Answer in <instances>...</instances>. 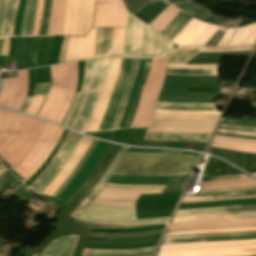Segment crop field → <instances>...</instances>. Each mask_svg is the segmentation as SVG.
Wrapping results in <instances>:
<instances>
[{
    "instance_id": "1",
    "label": "crop field",
    "mask_w": 256,
    "mask_h": 256,
    "mask_svg": "<svg viewBox=\"0 0 256 256\" xmlns=\"http://www.w3.org/2000/svg\"><path fill=\"white\" fill-rule=\"evenodd\" d=\"M44 121L0 109V157L14 168L38 139Z\"/></svg>"
},
{
    "instance_id": "2",
    "label": "crop field",
    "mask_w": 256,
    "mask_h": 256,
    "mask_svg": "<svg viewBox=\"0 0 256 256\" xmlns=\"http://www.w3.org/2000/svg\"><path fill=\"white\" fill-rule=\"evenodd\" d=\"M197 156L127 152L113 175H190Z\"/></svg>"
},
{
    "instance_id": "3",
    "label": "crop field",
    "mask_w": 256,
    "mask_h": 256,
    "mask_svg": "<svg viewBox=\"0 0 256 256\" xmlns=\"http://www.w3.org/2000/svg\"><path fill=\"white\" fill-rule=\"evenodd\" d=\"M108 64L109 59L85 61V76L81 91L76 94L63 126L84 132L96 105Z\"/></svg>"
},
{
    "instance_id": "4",
    "label": "crop field",
    "mask_w": 256,
    "mask_h": 256,
    "mask_svg": "<svg viewBox=\"0 0 256 256\" xmlns=\"http://www.w3.org/2000/svg\"><path fill=\"white\" fill-rule=\"evenodd\" d=\"M78 62L50 67L52 86L38 117L62 123L77 88Z\"/></svg>"
},
{
    "instance_id": "5",
    "label": "crop field",
    "mask_w": 256,
    "mask_h": 256,
    "mask_svg": "<svg viewBox=\"0 0 256 256\" xmlns=\"http://www.w3.org/2000/svg\"><path fill=\"white\" fill-rule=\"evenodd\" d=\"M173 50V44L136 18L127 14L123 56L158 57Z\"/></svg>"
},
{
    "instance_id": "6",
    "label": "crop field",
    "mask_w": 256,
    "mask_h": 256,
    "mask_svg": "<svg viewBox=\"0 0 256 256\" xmlns=\"http://www.w3.org/2000/svg\"><path fill=\"white\" fill-rule=\"evenodd\" d=\"M256 240L248 241H227V242H207L194 244H173L161 246L160 249L172 247H188V246H208L223 244H242L254 243ZM256 255V243L243 245H223L209 247H189V248H172L159 251L158 256H248Z\"/></svg>"
},
{
    "instance_id": "7",
    "label": "crop field",
    "mask_w": 256,
    "mask_h": 256,
    "mask_svg": "<svg viewBox=\"0 0 256 256\" xmlns=\"http://www.w3.org/2000/svg\"><path fill=\"white\" fill-rule=\"evenodd\" d=\"M219 116L167 115L154 113L147 131L212 133Z\"/></svg>"
},
{
    "instance_id": "8",
    "label": "crop field",
    "mask_w": 256,
    "mask_h": 256,
    "mask_svg": "<svg viewBox=\"0 0 256 256\" xmlns=\"http://www.w3.org/2000/svg\"><path fill=\"white\" fill-rule=\"evenodd\" d=\"M170 217L135 220V207H111L91 205L77 217V220L110 225H144L167 223Z\"/></svg>"
},
{
    "instance_id": "9",
    "label": "crop field",
    "mask_w": 256,
    "mask_h": 256,
    "mask_svg": "<svg viewBox=\"0 0 256 256\" xmlns=\"http://www.w3.org/2000/svg\"><path fill=\"white\" fill-rule=\"evenodd\" d=\"M19 0H0V38L8 37L16 16ZM37 0H27L21 36H31Z\"/></svg>"
},
{
    "instance_id": "10",
    "label": "crop field",
    "mask_w": 256,
    "mask_h": 256,
    "mask_svg": "<svg viewBox=\"0 0 256 256\" xmlns=\"http://www.w3.org/2000/svg\"><path fill=\"white\" fill-rule=\"evenodd\" d=\"M121 146L109 144L104 155L99 160L98 164L91 172L90 176L85 180V182L80 186L78 191L63 205L70 207L75 210V208L81 203V201L89 194V192L94 188L97 182L100 180L102 175L105 173L110 163L116 157Z\"/></svg>"
},
{
    "instance_id": "11",
    "label": "crop field",
    "mask_w": 256,
    "mask_h": 256,
    "mask_svg": "<svg viewBox=\"0 0 256 256\" xmlns=\"http://www.w3.org/2000/svg\"><path fill=\"white\" fill-rule=\"evenodd\" d=\"M121 65V58H112L110 59V64L108 72L105 78L104 86L101 91V94L98 98L97 106L91 117V121L86 129V131H97L101 120L104 116L107 103L110 99L113 87L118 77L119 69Z\"/></svg>"
},
{
    "instance_id": "12",
    "label": "crop field",
    "mask_w": 256,
    "mask_h": 256,
    "mask_svg": "<svg viewBox=\"0 0 256 256\" xmlns=\"http://www.w3.org/2000/svg\"><path fill=\"white\" fill-rule=\"evenodd\" d=\"M3 89L0 94V106L19 111L27 93L28 72H17V78L2 80Z\"/></svg>"
},
{
    "instance_id": "13",
    "label": "crop field",
    "mask_w": 256,
    "mask_h": 256,
    "mask_svg": "<svg viewBox=\"0 0 256 256\" xmlns=\"http://www.w3.org/2000/svg\"><path fill=\"white\" fill-rule=\"evenodd\" d=\"M75 136H76V133L70 132V131L68 132L67 137L65 139V142L62 145V147L60 148L59 152L53 158V160L51 161L49 166L46 168V170L40 175V177L37 180H35L29 186L28 190L32 189V190L35 191L39 187V185L48 177V175L53 171V169L55 168V166L57 165V163L59 162V160L61 159V157L63 156V154L65 153V151L67 150V148L69 147L70 143L72 142V140L74 139ZM80 138H81V135L77 134V136L73 140L72 144L70 145V147L68 148V150L66 151V153L64 154V156L62 157V159L60 160L58 165L56 166V168L54 169V171L49 175V177L35 191L36 193H38L40 195V193H42L44 188L56 176L57 172L60 170V168L66 162V160L69 158L70 154L74 151V149H75L78 141L80 140Z\"/></svg>"
},
{
    "instance_id": "14",
    "label": "crop field",
    "mask_w": 256,
    "mask_h": 256,
    "mask_svg": "<svg viewBox=\"0 0 256 256\" xmlns=\"http://www.w3.org/2000/svg\"><path fill=\"white\" fill-rule=\"evenodd\" d=\"M133 58H122V65L119 73V77L115 88L113 90L110 102L107 107V111L101 123L99 131L110 130L112 122L115 118L116 111L121 102L122 93L130 74Z\"/></svg>"
},
{
    "instance_id": "15",
    "label": "crop field",
    "mask_w": 256,
    "mask_h": 256,
    "mask_svg": "<svg viewBox=\"0 0 256 256\" xmlns=\"http://www.w3.org/2000/svg\"><path fill=\"white\" fill-rule=\"evenodd\" d=\"M162 193V190H114L102 188L91 204L135 206L140 194Z\"/></svg>"
},
{
    "instance_id": "16",
    "label": "crop field",
    "mask_w": 256,
    "mask_h": 256,
    "mask_svg": "<svg viewBox=\"0 0 256 256\" xmlns=\"http://www.w3.org/2000/svg\"><path fill=\"white\" fill-rule=\"evenodd\" d=\"M95 41L96 28L84 37H70L64 62L94 58Z\"/></svg>"
},
{
    "instance_id": "17",
    "label": "crop field",
    "mask_w": 256,
    "mask_h": 256,
    "mask_svg": "<svg viewBox=\"0 0 256 256\" xmlns=\"http://www.w3.org/2000/svg\"><path fill=\"white\" fill-rule=\"evenodd\" d=\"M173 4L177 6L179 9H181L184 13L196 19H199L211 24H215V25H219L227 28H236L241 22V19H225V18L213 16L211 15L209 10H207L203 6L191 0H186L183 2H177Z\"/></svg>"
},
{
    "instance_id": "18",
    "label": "crop field",
    "mask_w": 256,
    "mask_h": 256,
    "mask_svg": "<svg viewBox=\"0 0 256 256\" xmlns=\"http://www.w3.org/2000/svg\"><path fill=\"white\" fill-rule=\"evenodd\" d=\"M91 141H92V138L82 136L72 156L69 158L67 163L62 167V169L54 178V180L45 188L42 194L52 196L56 192V190L68 178L70 173L76 167L77 163L83 157Z\"/></svg>"
},
{
    "instance_id": "19",
    "label": "crop field",
    "mask_w": 256,
    "mask_h": 256,
    "mask_svg": "<svg viewBox=\"0 0 256 256\" xmlns=\"http://www.w3.org/2000/svg\"><path fill=\"white\" fill-rule=\"evenodd\" d=\"M166 57L163 56L158 59L153 81L147 93L146 103L141 114L138 127H145L148 125L152 111L154 109L159 88L162 84L163 76L165 73Z\"/></svg>"
},
{
    "instance_id": "20",
    "label": "crop field",
    "mask_w": 256,
    "mask_h": 256,
    "mask_svg": "<svg viewBox=\"0 0 256 256\" xmlns=\"http://www.w3.org/2000/svg\"><path fill=\"white\" fill-rule=\"evenodd\" d=\"M254 217H256V211L214 213V214H198V215H187V216L175 217L172 224L188 223V222H199V221H214V220L254 218Z\"/></svg>"
},
{
    "instance_id": "21",
    "label": "crop field",
    "mask_w": 256,
    "mask_h": 256,
    "mask_svg": "<svg viewBox=\"0 0 256 256\" xmlns=\"http://www.w3.org/2000/svg\"><path fill=\"white\" fill-rule=\"evenodd\" d=\"M78 238L74 235L57 238L40 254L43 256H72Z\"/></svg>"
},
{
    "instance_id": "22",
    "label": "crop field",
    "mask_w": 256,
    "mask_h": 256,
    "mask_svg": "<svg viewBox=\"0 0 256 256\" xmlns=\"http://www.w3.org/2000/svg\"><path fill=\"white\" fill-rule=\"evenodd\" d=\"M245 47H252V46H244ZM181 48H198V47H181ZM212 49V48H208ZM208 49H198L200 52H235V51H247L252 50V48L246 49H229V50H208ZM228 49V48H224ZM197 49H178L170 54H168V64H184L189 61L191 58L196 56L198 53Z\"/></svg>"
},
{
    "instance_id": "23",
    "label": "crop field",
    "mask_w": 256,
    "mask_h": 256,
    "mask_svg": "<svg viewBox=\"0 0 256 256\" xmlns=\"http://www.w3.org/2000/svg\"><path fill=\"white\" fill-rule=\"evenodd\" d=\"M207 25V23L192 18L186 27L172 40V42L177 45H190V43L205 29Z\"/></svg>"
},
{
    "instance_id": "24",
    "label": "crop field",
    "mask_w": 256,
    "mask_h": 256,
    "mask_svg": "<svg viewBox=\"0 0 256 256\" xmlns=\"http://www.w3.org/2000/svg\"><path fill=\"white\" fill-rule=\"evenodd\" d=\"M65 14V0H53L47 35H61Z\"/></svg>"
},
{
    "instance_id": "25",
    "label": "crop field",
    "mask_w": 256,
    "mask_h": 256,
    "mask_svg": "<svg viewBox=\"0 0 256 256\" xmlns=\"http://www.w3.org/2000/svg\"><path fill=\"white\" fill-rule=\"evenodd\" d=\"M126 149H127V147L122 146L119 154L114 159V161L111 163V165L108 168V170L105 173V175L101 178V180L98 182V184L95 186V188L90 192V194L77 207V209L71 213V216L76 218L84 210V208L89 204V202L93 199V197L96 195V193L102 187V185L107 181L108 177L111 175L112 171L114 170L116 165L119 163V161L122 158V156L125 154Z\"/></svg>"
},
{
    "instance_id": "26",
    "label": "crop field",
    "mask_w": 256,
    "mask_h": 256,
    "mask_svg": "<svg viewBox=\"0 0 256 256\" xmlns=\"http://www.w3.org/2000/svg\"><path fill=\"white\" fill-rule=\"evenodd\" d=\"M209 136L210 134H172L147 132L145 140L206 142Z\"/></svg>"
},
{
    "instance_id": "27",
    "label": "crop field",
    "mask_w": 256,
    "mask_h": 256,
    "mask_svg": "<svg viewBox=\"0 0 256 256\" xmlns=\"http://www.w3.org/2000/svg\"><path fill=\"white\" fill-rule=\"evenodd\" d=\"M153 249L154 247L133 250L85 249L83 256H149Z\"/></svg>"
},
{
    "instance_id": "28",
    "label": "crop field",
    "mask_w": 256,
    "mask_h": 256,
    "mask_svg": "<svg viewBox=\"0 0 256 256\" xmlns=\"http://www.w3.org/2000/svg\"><path fill=\"white\" fill-rule=\"evenodd\" d=\"M169 4L168 0H152L133 15L148 24Z\"/></svg>"
},
{
    "instance_id": "29",
    "label": "crop field",
    "mask_w": 256,
    "mask_h": 256,
    "mask_svg": "<svg viewBox=\"0 0 256 256\" xmlns=\"http://www.w3.org/2000/svg\"><path fill=\"white\" fill-rule=\"evenodd\" d=\"M256 41V23L240 27L236 30L228 47L250 45Z\"/></svg>"
},
{
    "instance_id": "30",
    "label": "crop field",
    "mask_w": 256,
    "mask_h": 256,
    "mask_svg": "<svg viewBox=\"0 0 256 256\" xmlns=\"http://www.w3.org/2000/svg\"><path fill=\"white\" fill-rule=\"evenodd\" d=\"M112 28H97L95 58L109 57Z\"/></svg>"
},
{
    "instance_id": "31",
    "label": "crop field",
    "mask_w": 256,
    "mask_h": 256,
    "mask_svg": "<svg viewBox=\"0 0 256 256\" xmlns=\"http://www.w3.org/2000/svg\"><path fill=\"white\" fill-rule=\"evenodd\" d=\"M245 210H256V204L228 206V207H214V208L184 209V210H178L177 214L176 213L175 214L176 216H178V215L197 214V213L230 212V211H245Z\"/></svg>"
},
{
    "instance_id": "32",
    "label": "crop field",
    "mask_w": 256,
    "mask_h": 256,
    "mask_svg": "<svg viewBox=\"0 0 256 256\" xmlns=\"http://www.w3.org/2000/svg\"><path fill=\"white\" fill-rule=\"evenodd\" d=\"M156 109L190 110V111H200V110L216 111L213 104H187V103H166V102H158Z\"/></svg>"
},
{
    "instance_id": "33",
    "label": "crop field",
    "mask_w": 256,
    "mask_h": 256,
    "mask_svg": "<svg viewBox=\"0 0 256 256\" xmlns=\"http://www.w3.org/2000/svg\"><path fill=\"white\" fill-rule=\"evenodd\" d=\"M40 37H26L24 48V69L36 67L35 53Z\"/></svg>"
},
{
    "instance_id": "34",
    "label": "crop field",
    "mask_w": 256,
    "mask_h": 256,
    "mask_svg": "<svg viewBox=\"0 0 256 256\" xmlns=\"http://www.w3.org/2000/svg\"><path fill=\"white\" fill-rule=\"evenodd\" d=\"M179 11V9H177L175 6L171 4L162 14H160L148 26H150L151 28L160 33L171 22V20L177 15Z\"/></svg>"
},
{
    "instance_id": "35",
    "label": "crop field",
    "mask_w": 256,
    "mask_h": 256,
    "mask_svg": "<svg viewBox=\"0 0 256 256\" xmlns=\"http://www.w3.org/2000/svg\"><path fill=\"white\" fill-rule=\"evenodd\" d=\"M251 185H256V181L252 178L225 180V181L201 183L200 190L210 189V188H222V187H233V186H251Z\"/></svg>"
},
{
    "instance_id": "36",
    "label": "crop field",
    "mask_w": 256,
    "mask_h": 256,
    "mask_svg": "<svg viewBox=\"0 0 256 256\" xmlns=\"http://www.w3.org/2000/svg\"><path fill=\"white\" fill-rule=\"evenodd\" d=\"M190 19L191 17L181 11L174 21L161 33V35L171 41L185 27Z\"/></svg>"
},
{
    "instance_id": "37",
    "label": "crop field",
    "mask_w": 256,
    "mask_h": 256,
    "mask_svg": "<svg viewBox=\"0 0 256 256\" xmlns=\"http://www.w3.org/2000/svg\"><path fill=\"white\" fill-rule=\"evenodd\" d=\"M247 195H256V190L255 191H240V192L204 194V195H190V196H184L182 201L217 199V198H227V197H237V196H247Z\"/></svg>"
},
{
    "instance_id": "38",
    "label": "crop field",
    "mask_w": 256,
    "mask_h": 256,
    "mask_svg": "<svg viewBox=\"0 0 256 256\" xmlns=\"http://www.w3.org/2000/svg\"><path fill=\"white\" fill-rule=\"evenodd\" d=\"M138 61L139 59H134V62H133V65H132V70H131V75L128 79V82H127V85L125 87V90H124V93H123V98H122V102L120 104V107H119V110L117 112V115H116V118L113 122V125H112V128L111 130H114L117 128V125H118V122L122 116V113H123V109H124V106H125V103H126V100H127V97H128V93H129V90L132 86V83H133V80H134V76H135V72H136V68L138 66Z\"/></svg>"
},
{
    "instance_id": "39",
    "label": "crop field",
    "mask_w": 256,
    "mask_h": 256,
    "mask_svg": "<svg viewBox=\"0 0 256 256\" xmlns=\"http://www.w3.org/2000/svg\"><path fill=\"white\" fill-rule=\"evenodd\" d=\"M156 61H157V59H152V61H151V66H150L149 75H148V78H147V80H146L144 89H143V91H142V94H141V97H140V101H139V105H138V108H137V111H136V115H135V118H134V120H133V123H132V126H131V127H136V126H137L140 113H141L142 108H143V105H144V103H145L146 92H147L148 87H149V85H150V83H151V81H152L154 69H155V66H156Z\"/></svg>"
},
{
    "instance_id": "40",
    "label": "crop field",
    "mask_w": 256,
    "mask_h": 256,
    "mask_svg": "<svg viewBox=\"0 0 256 256\" xmlns=\"http://www.w3.org/2000/svg\"><path fill=\"white\" fill-rule=\"evenodd\" d=\"M150 61H151V59H146L145 68H144V72L142 74L141 82H140V84H139V86L137 88V91H136V94H135V98H134V101H133V105H132V109H131V112H130V114L128 116L127 123H126L124 128L130 127V124H131L132 119L134 117L135 110H136V107H137V104H138V100H139V97H140V94H141V91H142V87H143V84H144V82H145V80L147 78V75H148Z\"/></svg>"
},
{
    "instance_id": "41",
    "label": "crop field",
    "mask_w": 256,
    "mask_h": 256,
    "mask_svg": "<svg viewBox=\"0 0 256 256\" xmlns=\"http://www.w3.org/2000/svg\"><path fill=\"white\" fill-rule=\"evenodd\" d=\"M123 33L124 28H113L112 47L110 57L122 56L123 54Z\"/></svg>"
},
{
    "instance_id": "42",
    "label": "crop field",
    "mask_w": 256,
    "mask_h": 256,
    "mask_svg": "<svg viewBox=\"0 0 256 256\" xmlns=\"http://www.w3.org/2000/svg\"><path fill=\"white\" fill-rule=\"evenodd\" d=\"M166 74L209 76V75H217V69L167 68Z\"/></svg>"
},
{
    "instance_id": "43",
    "label": "crop field",
    "mask_w": 256,
    "mask_h": 256,
    "mask_svg": "<svg viewBox=\"0 0 256 256\" xmlns=\"http://www.w3.org/2000/svg\"><path fill=\"white\" fill-rule=\"evenodd\" d=\"M255 238L256 236H234V237H216V238L187 239V240H171V241H163L161 245L172 244V243H188V242L245 240V239H255Z\"/></svg>"
},
{
    "instance_id": "44",
    "label": "crop field",
    "mask_w": 256,
    "mask_h": 256,
    "mask_svg": "<svg viewBox=\"0 0 256 256\" xmlns=\"http://www.w3.org/2000/svg\"><path fill=\"white\" fill-rule=\"evenodd\" d=\"M98 140H93L92 144L90 145L89 149L87 150L86 154L84 155V157L81 159V161L78 163L77 167L74 169V171L71 173V175L69 176V178L61 185V187L57 190V192L53 195V197H57L62 191L63 189L68 185V183L72 180V178L76 175V173L78 171H80L81 167L83 166V164L85 163V161L87 160L88 156L90 155V153L93 151L95 145L97 144Z\"/></svg>"
},
{
    "instance_id": "45",
    "label": "crop field",
    "mask_w": 256,
    "mask_h": 256,
    "mask_svg": "<svg viewBox=\"0 0 256 256\" xmlns=\"http://www.w3.org/2000/svg\"><path fill=\"white\" fill-rule=\"evenodd\" d=\"M248 226H256V223L231 224V225H215V226H200V227H189V228H174V229H168L167 232L190 231V230H204V229H219V228H233V227H248Z\"/></svg>"
},
{
    "instance_id": "46",
    "label": "crop field",
    "mask_w": 256,
    "mask_h": 256,
    "mask_svg": "<svg viewBox=\"0 0 256 256\" xmlns=\"http://www.w3.org/2000/svg\"><path fill=\"white\" fill-rule=\"evenodd\" d=\"M246 222H256L255 219H243V220H229V221H214V222H199V223H189V224H177L171 225L173 227H188V226H200V225H215V224H231V223H246Z\"/></svg>"
},
{
    "instance_id": "47",
    "label": "crop field",
    "mask_w": 256,
    "mask_h": 256,
    "mask_svg": "<svg viewBox=\"0 0 256 256\" xmlns=\"http://www.w3.org/2000/svg\"><path fill=\"white\" fill-rule=\"evenodd\" d=\"M52 0H44V10L39 35H46Z\"/></svg>"
},
{
    "instance_id": "48",
    "label": "crop field",
    "mask_w": 256,
    "mask_h": 256,
    "mask_svg": "<svg viewBox=\"0 0 256 256\" xmlns=\"http://www.w3.org/2000/svg\"><path fill=\"white\" fill-rule=\"evenodd\" d=\"M79 5H80V0H74L73 10H72V18H71V28H70V35H72V36H76V34H77Z\"/></svg>"
},
{
    "instance_id": "49",
    "label": "crop field",
    "mask_w": 256,
    "mask_h": 256,
    "mask_svg": "<svg viewBox=\"0 0 256 256\" xmlns=\"http://www.w3.org/2000/svg\"><path fill=\"white\" fill-rule=\"evenodd\" d=\"M250 234H256V231H252V232H237V233H224V234H209V235L177 236V237H167V238H164V240H170V239H182V238H196V237H214V236L250 235Z\"/></svg>"
},
{
    "instance_id": "50",
    "label": "crop field",
    "mask_w": 256,
    "mask_h": 256,
    "mask_svg": "<svg viewBox=\"0 0 256 256\" xmlns=\"http://www.w3.org/2000/svg\"><path fill=\"white\" fill-rule=\"evenodd\" d=\"M246 230H256V228H244V229H226V230H209V231H191V232H178L166 234V236L173 235H186V234H204V233H221V232H234V231H246Z\"/></svg>"
},
{
    "instance_id": "51",
    "label": "crop field",
    "mask_w": 256,
    "mask_h": 256,
    "mask_svg": "<svg viewBox=\"0 0 256 256\" xmlns=\"http://www.w3.org/2000/svg\"><path fill=\"white\" fill-rule=\"evenodd\" d=\"M221 124L243 125V126L256 127V120H253V119L228 118L224 122H222Z\"/></svg>"
},
{
    "instance_id": "52",
    "label": "crop field",
    "mask_w": 256,
    "mask_h": 256,
    "mask_svg": "<svg viewBox=\"0 0 256 256\" xmlns=\"http://www.w3.org/2000/svg\"><path fill=\"white\" fill-rule=\"evenodd\" d=\"M105 187L122 188V189H163L165 188V186H153V185H113V184H106Z\"/></svg>"
},
{
    "instance_id": "53",
    "label": "crop field",
    "mask_w": 256,
    "mask_h": 256,
    "mask_svg": "<svg viewBox=\"0 0 256 256\" xmlns=\"http://www.w3.org/2000/svg\"><path fill=\"white\" fill-rule=\"evenodd\" d=\"M86 5H87V0H81L79 23H78V35L77 36H83V33H84Z\"/></svg>"
},
{
    "instance_id": "54",
    "label": "crop field",
    "mask_w": 256,
    "mask_h": 256,
    "mask_svg": "<svg viewBox=\"0 0 256 256\" xmlns=\"http://www.w3.org/2000/svg\"><path fill=\"white\" fill-rule=\"evenodd\" d=\"M42 8H43V0H38L37 12H36V16H35V22H34V28H33L32 36L37 35L38 32H39V25H40V21H41Z\"/></svg>"
},
{
    "instance_id": "55",
    "label": "crop field",
    "mask_w": 256,
    "mask_h": 256,
    "mask_svg": "<svg viewBox=\"0 0 256 256\" xmlns=\"http://www.w3.org/2000/svg\"><path fill=\"white\" fill-rule=\"evenodd\" d=\"M155 112L167 113V114H194V115H220L221 114V112H209V111L190 112V111L155 110Z\"/></svg>"
},
{
    "instance_id": "56",
    "label": "crop field",
    "mask_w": 256,
    "mask_h": 256,
    "mask_svg": "<svg viewBox=\"0 0 256 256\" xmlns=\"http://www.w3.org/2000/svg\"><path fill=\"white\" fill-rule=\"evenodd\" d=\"M93 7H94V0H89L87 13H86L85 34L87 31H89L92 28Z\"/></svg>"
},
{
    "instance_id": "57",
    "label": "crop field",
    "mask_w": 256,
    "mask_h": 256,
    "mask_svg": "<svg viewBox=\"0 0 256 256\" xmlns=\"http://www.w3.org/2000/svg\"><path fill=\"white\" fill-rule=\"evenodd\" d=\"M255 189H256V186H252V187H233V188L203 190V191H199L198 194L215 193V192H228V191H240V190H255Z\"/></svg>"
},
{
    "instance_id": "58",
    "label": "crop field",
    "mask_w": 256,
    "mask_h": 256,
    "mask_svg": "<svg viewBox=\"0 0 256 256\" xmlns=\"http://www.w3.org/2000/svg\"><path fill=\"white\" fill-rule=\"evenodd\" d=\"M226 31H227L226 28L220 27L217 30V32L213 35V37L207 42V44L205 46L216 47V45L218 44L220 39L223 37V35L225 34Z\"/></svg>"
},
{
    "instance_id": "59",
    "label": "crop field",
    "mask_w": 256,
    "mask_h": 256,
    "mask_svg": "<svg viewBox=\"0 0 256 256\" xmlns=\"http://www.w3.org/2000/svg\"><path fill=\"white\" fill-rule=\"evenodd\" d=\"M51 83L36 85L34 96H46Z\"/></svg>"
},
{
    "instance_id": "60",
    "label": "crop field",
    "mask_w": 256,
    "mask_h": 256,
    "mask_svg": "<svg viewBox=\"0 0 256 256\" xmlns=\"http://www.w3.org/2000/svg\"><path fill=\"white\" fill-rule=\"evenodd\" d=\"M214 139L223 140V141H230V142H237V143H245V144H255L256 145V140L227 138V137H219V136H215Z\"/></svg>"
},
{
    "instance_id": "61",
    "label": "crop field",
    "mask_w": 256,
    "mask_h": 256,
    "mask_svg": "<svg viewBox=\"0 0 256 256\" xmlns=\"http://www.w3.org/2000/svg\"><path fill=\"white\" fill-rule=\"evenodd\" d=\"M236 29H228L224 37L221 39L217 47H227L231 37L233 36Z\"/></svg>"
},
{
    "instance_id": "62",
    "label": "crop field",
    "mask_w": 256,
    "mask_h": 256,
    "mask_svg": "<svg viewBox=\"0 0 256 256\" xmlns=\"http://www.w3.org/2000/svg\"><path fill=\"white\" fill-rule=\"evenodd\" d=\"M219 128L256 133V128H250V127L220 125Z\"/></svg>"
},
{
    "instance_id": "63",
    "label": "crop field",
    "mask_w": 256,
    "mask_h": 256,
    "mask_svg": "<svg viewBox=\"0 0 256 256\" xmlns=\"http://www.w3.org/2000/svg\"><path fill=\"white\" fill-rule=\"evenodd\" d=\"M246 175H235V176H222V177H214V178H206L202 179L201 182L205 181H215V180H225V179H236V178H246Z\"/></svg>"
},
{
    "instance_id": "64",
    "label": "crop field",
    "mask_w": 256,
    "mask_h": 256,
    "mask_svg": "<svg viewBox=\"0 0 256 256\" xmlns=\"http://www.w3.org/2000/svg\"><path fill=\"white\" fill-rule=\"evenodd\" d=\"M167 67H181V68H217V64H214V65H168Z\"/></svg>"
},
{
    "instance_id": "65",
    "label": "crop field",
    "mask_w": 256,
    "mask_h": 256,
    "mask_svg": "<svg viewBox=\"0 0 256 256\" xmlns=\"http://www.w3.org/2000/svg\"><path fill=\"white\" fill-rule=\"evenodd\" d=\"M68 38L69 37H66V36H64V38H63V42H62V46H61V50H60V54H59L58 63H61V62L64 61V54H65Z\"/></svg>"
},
{
    "instance_id": "66",
    "label": "crop field",
    "mask_w": 256,
    "mask_h": 256,
    "mask_svg": "<svg viewBox=\"0 0 256 256\" xmlns=\"http://www.w3.org/2000/svg\"><path fill=\"white\" fill-rule=\"evenodd\" d=\"M62 131H63V128L61 129V131H60V133H59V135H58V137H57L56 142H55L54 145L51 147V149L49 150V152H48V154L46 155V157H45V158L43 159V161L37 166V168H36L33 172H31V173L22 181L23 183H24L41 165H42V163L44 162V160L47 158V156L50 154V152L52 151L53 147H54L55 144L57 143V141H58V139H59V137H60Z\"/></svg>"
},
{
    "instance_id": "67",
    "label": "crop field",
    "mask_w": 256,
    "mask_h": 256,
    "mask_svg": "<svg viewBox=\"0 0 256 256\" xmlns=\"http://www.w3.org/2000/svg\"><path fill=\"white\" fill-rule=\"evenodd\" d=\"M9 38L4 39L1 54L2 56H8Z\"/></svg>"
},
{
    "instance_id": "68",
    "label": "crop field",
    "mask_w": 256,
    "mask_h": 256,
    "mask_svg": "<svg viewBox=\"0 0 256 256\" xmlns=\"http://www.w3.org/2000/svg\"><path fill=\"white\" fill-rule=\"evenodd\" d=\"M217 132L256 136V134H252V133L236 132V131L221 130V129H218V131H217Z\"/></svg>"
},
{
    "instance_id": "69",
    "label": "crop field",
    "mask_w": 256,
    "mask_h": 256,
    "mask_svg": "<svg viewBox=\"0 0 256 256\" xmlns=\"http://www.w3.org/2000/svg\"><path fill=\"white\" fill-rule=\"evenodd\" d=\"M31 99H32V97H27L26 98V101H25L24 105L21 107L20 112L24 113L26 111Z\"/></svg>"
},
{
    "instance_id": "70",
    "label": "crop field",
    "mask_w": 256,
    "mask_h": 256,
    "mask_svg": "<svg viewBox=\"0 0 256 256\" xmlns=\"http://www.w3.org/2000/svg\"><path fill=\"white\" fill-rule=\"evenodd\" d=\"M248 197H256V196H248ZM248 197H238V198H248ZM238 198H227V199H238ZM217 200H226V199H217ZM205 201H214V200H205ZM191 202H202V201H189V202H181V203H191Z\"/></svg>"
},
{
    "instance_id": "71",
    "label": "crop field",
    "mask_w": 256,
    "mask_h": 256,
    "mask_svg": "<svg viewBox=\"0 0 256 256\" xmlns=\"http://www.w3.org/2000/svg\"><path fill=\"white\" fill-rule=\"evenodd\" d=\"M4 170H6L5 168H3L2 167V165L0 166V173L2 172V171H4ZM3 173V172H2Z\"/></svg>"
},
{
    "instance_id": "72",
    "label": "crop field",
    "mask_w": 256,
    "mask_h": 256,
    "mask_svg": "<svg viewBox=\"0 0 256 256\" xmlns=\"http://www.w3.org/2000/svg\"><path fill=\"white\" fill-rule=\"evenodd\" d=\"M2 41H3V39L1 40V44H0V51H1V47H2Z\"/></svg>"
},
{
    "instance_id": "73",
    "label": "crop field",
    "mask_w": 256,
    "mask_h": 256,
    "mask_svg": "<svg viewBox=\"0 0 256 256\" xmlns=\"http://www.w3.org/2000/svg\"><path fill=\"white\" fill-rule=\"evenodd\" d=\"M252 175L256 176V173H254V174H252Z\"/></svg>"
},
{
    "instance_id": "74",
    "label": "crop field",
    "mask_w": 256,
    "mask_h": 256,
    "mask_svg": "<svg viewBox=\"0 0 256 256\" xmlns=\"http://www.w3.org/2000/svg\"><path fill=\"white\" fill-rule=\"evenodd\" d=\"M33 256H39V255L34 254Z\"/></svg>"
},
{
    "instance_id": "75",
    "label": "crop field",
    "mask_w": 256,
    "mask_h": 256,
    "mask_svg": "<svg viewBox=\"0 0 256 256\" xmlns=\"http://www.w3.org/2000/svg\"><path fill=\"white\" fill-rule=\"evenodd\" d=\"M211 147H212V144H211Z\"/></svg>"
},
{
    "instance_id": "76",
    "label": "crop field",
    "mask_w": 256,
    "mask_h": 256,
    "mask_svg": "<svg viewBox=\"0 0 256 256\" xmlns=\"http://www.w3.org/2000/svg\"><path fill=\"white\" fill-rule=\"evenodd\" d=\"M1 165V164H0Z\"/></svg>"
}]
</instances>
